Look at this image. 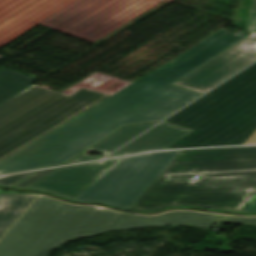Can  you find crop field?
I'll return each mask as SVG.
<instances>
[{"mask_svg":"<svg viewBox=\"0 0 256 256\" xmlns=\"http://www.w3.org/2000/svg\"><path fill=\"white\" fill-rule=\"evenodd\" d=\"M179 152L162 151L121 158L74 200L128 209Z\"/></svg>","mask_w":256,"mask_h":256,"instance_id":"6","label":"crop field"},{"mask_svg":"<svg viewBox=\"0 0 256 256\" xmlns=\"http://www.w3.org/2000/svg\"><path fill=\"white\" fill-rule=\"evenodd\" d=\"M157 123L158 122L125 126L67 164L100 159L102 158L101 156L90 157L86 155V153L88 151L104 152L103 154L105 156Z\"/></svg>","mask_w":256,"mask_h":256,"instance_id":"10","label":"crop field"},{"mask_svg":"<svg viewBox=\"0 0 256 256\" xmlns=\"http://www.w3.org/2000/svg\"><path fill=\"white\" fill-rule=\"evenodd\" d=\"M255 60L256 32L173 85L203 94Z\"/></svg>","mask_w":256,"mask_h":256,"instance_id":"7","label":"crop field"},{"mask_svg":"<svg viewBox=\"0 0 256 256\" xmlns=\"http://www.w3.org/2000/svg\"><path fill=\"white\" fill-rule=\"evenodd\" d=\"M39 197L0 241V256H47L76 237L111 230L186 224L211 229L218 215L168 212L156 217L96 210Z\"/></svg>","mask_w":256,"mask_h":256,"instance_id":"3","label":"crop field"},{"mask_svg":"<svg viewBox=\"0 0 256 256\" xmlns=\"http://www.w3.org/2000/svg\"><path fill=\"white\" fill-rule=\"evenodd\" d=\"M38 195L0 194V211L24 212Z\"/></svg>","mask_w":256,"mask_h":256,"instance_id":"13","label":"crop field"},{"mask_svg":"<svg viewBox=\"0 0 256 256\" xmlns=\"http://www.w3.org/2000/svg\"><path fill=\"white\" fill-rule=\"evenodd\" d=\"M110 96L85 87L66 96L31 86L0 106V162Z\"/></svg>","mask_w":256,"mask_h":256,"instance_id":"5","label":"crop field"},{"mask_svg":"<svg viewBox=\"0 0 256 256\" xmlns=\"http://www.w3.org/2000/svg\"><path fill=\"white\" fill-rule=\"evenodd\" d=\"M33 172L31 173H25V174H21V175H16V176H12L3 180H0V185L3 186H7L10 187L18 182H20L21 180L27 178L29 175H31Z\"/></svg>","mask_w":256,"mask_h":256,"instance_id":"17","label":"crop field"},{"mask_svg":"<svg viewBox=\"0 0 256 256\" xmlns=\"http://www.w3.org/2000/svg\"><path fill=\"white\" fill-rule=\"evenodd\" d=\"M190 131L191 130L162 122L108 157L164 149Z\"/></svg>","mask_w":256,"mask_h":256,"instance_id":"9","label":"crop field"},{"mask_svg":"<svg viewBox=\"0 0 256 256\" xmlns=\"http://www.w3.org/2000/svg\"><path fill=\"white\" fill-rule=\"evenodd\" d=\"M219 220L223 222H229V223L256 225V218H237V217L221 216Z\"/></svg>","mask_w":256,"mask_h":256,"instance_id":"15","label":"crop field"},{"mask_svg":"<svg viewBox=\"0 0 256 256\" xmlns=\"http://www.w3.org/2000/svg\"><path fill=\"white\" fill-rule=\"evenodd\" d=\"M129 84L130 83L96 72L88 78L84 79L83 81L79 82L78 84L74 85L70 89L63 92V94L69 95L74 91L78 90L79 88L85 86L113 95L124 87L128 86Z\"/></svg>","mask_w":256,"mask_h":256,"instance_id":"12","label":"crop field"},{"mask_svg":"<svg viewBox=\"0 0 256 256\" xmlns=\"http://www.w3.org/2000/svg\"><path fill=\"white\" fill-rule=\"evenodd\" d=\"M244 34L242 31L236 34L224 29L218 31L2 161L0 174L64 163L123 125L161 120L199 95L171 85L243 39Z\"/></svg>","mask_w":256,"mask_h":256,"instance_id":"1","label":"crop field"},{"mask_svg":"<svg viewBox=\"0 0 256 256\" xmlns=\"http://www.w3.org/2000/svg\"><path fill=\"white\" fill-rule=\"evenodd\" d=\"M242 213L256 212V194H251L247 203L243 207Z\"/></svg>","mask_w":256,"mask_h":256,"instance_id":"19","label":"crop field"},{"mask_svg":"<svg viewBox=\"0 0 256 256\" xmlns=\"http://www.w3.org/2000/svg\"><path fill=\"white\" fill-rule=\"evenodd\" d=\"M21 214L22 213L0 212V237Z\"/></svg>","mask_w":256,"mask_h":256,"instance_id":"14","label":"crop field"},{"mask_svg":"<svg viewBox=\"0 0 256 256\" xmlns=\"http://www.w3.org/2000/svg\"><path fill=\"white\" fill-rule=\"evenodd\" d=\"M55 169L52 170H46V171H40L38 173H36L35 175H33L32 177H30L29 179L21 182L19 185H17L16 187L19 188H27L28 186H30L31 184H33L34 182H36L37 180H39L40 178H42L43 176L47 175L48 173L52 172Z\"/></svg>","mask_w":256,"mask_h":256,"instance_id":"16","label":"crop field"},{"mask_svg":"<svg viewBox=\"0 0 256 256\" xmlns=\"http://www.w3.org/2000/svg\"><path fill=\"white\" fill-rule=\"evenodd\" d=\"M251 193H256V146L185 150L129 210L193 206L240 212Z\"/></svg>","mask_w":256,"mask_h":256,"instance_id":"2","label":"crop field"},{"mask_svg":"<svg viewBox=\"0 0 256 256\" xmlns=\"http://www.w3.org/2000/svg\"><path fill=\"white\" fill-rule=\"evenodd\" d=\"M165 122L194 130L166 149L242 145L256 130V64Z\"/></svg>","mask_w":256,"mask_h":256,"instance_id":"4","label":"crop field"},{"mask_svg":"<svg viewBox=\"0 0 256 256\" xmlns=\"http://www.w3.org/2000/svg\"><path fill=\"white\" fill-rule=\"evenodd\" d=\"M118 159L58 168L28 189L44 191L73 200Z\"/></svg>","mask_w":256,"mask_h":256,"instance_id":"8","label":"crop field"},{"mask_svg":"<svg viewBox=\"0 0 256 256\" xmlns=\"http://www.w3.org/2000/svg\"><path fill=\"white\" fill-rule=\"evenodd\" d=\"M38 79L17 73L8 68H0V105L18 95Z\"/></svg>","mask_w":256,"mask_h":256,"instance_id":"11","label":"crop field"},{"mask_svg":"<svg viewBox=\"0 0 256 256\" xmlns=\"http://www.w3.org/2000/svg\"><path fill=\"white\" fill-rule=\"evenodd\" d=\"M256 144V131L250 136V138L243 144Z\"/></svg>","mask_w":256,"mask_h":256,"instance_id":"20","label":"crop field"},{"mask_svg":"<svg viewBox=\"0 0 256 256\" xmlns=\"http://www.w3.org/2000/svg\"><path fill=\"white\" fill-rule=\"evenodd\" d=\"M256 31V0H253V4L250 7L249 23L247 32L252 33Z\"/></svg>","mask_w":256,"mask_h":256,"instance_id":"18","label":"crop field"}]
</instances>
